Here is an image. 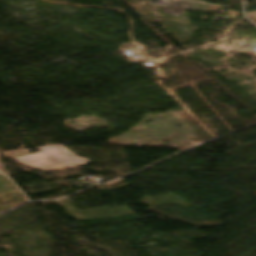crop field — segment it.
I'll return each mask as SVG.
<instances>
[{
  "mask_svg": "<svg viewBox=\"0 0 256 256\" xmlns=\"http://www.w3.org/2000/svg\"><path fill=\"white\" fill-rule=\"evenodd\" d=\"M246 15L253 21L256 22V12H248Z\"/></svg>",
  "mask_w": 256,
  "mask_h": 256,
  "instance_id": "crop-field-2",
  "label": "crop field"
},
{
  "mask_svg": "<svg viewBox=\"0 0 256 256\" xmlns=\"http://www.w3.org/2000/svg\"><path fill=\"white\" fill-rule=\"evenodd\" d=\"M36 149L40 151L13 159L28 167H40L44 170H61L91 162L84 157L76 156L61 145L40 146Z\"/></svg>",
  "mask_w": 256,
  "mask_h": 256,
  "instance_id": "crop-field-1",
  "label": "crop field"
}]
</instances>
